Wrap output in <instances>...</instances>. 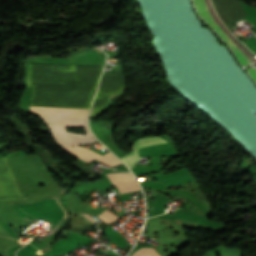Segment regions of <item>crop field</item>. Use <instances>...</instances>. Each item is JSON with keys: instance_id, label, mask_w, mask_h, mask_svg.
Here are the masks:
<instances>
[{"instance_id": "ac0d7876", "label": "crop field", "mask_w": 256, "mask_h": 256, "mask_svg": "<svg viewBox=\"0 0 256 256\" xmlns=\"http://www.w3.org/2000/svg\"><path fill=\"white\" fill-rule=\"evenodd\" d=\"M247 69V68H246ZM256 70V69H255ZM254 69L250 68L247 69L248 73L252 76V78L255 80L256 82V71Z\"/></svg>"}, {"instance_id": "8a807250", "label": "crop field", "mask_w": 256, "mask_h": 256, "mask_svg": "<svg viewBox=\"0 0 256 256\" xmlns=\"http://www.w3.org/2000/svg\"><path fill=\"white\" fill-rule=\"evenodd\" d=\"M193 3L196 7V10L200 17L207 23L209 24L221 37L224 41H226L232 51L235 53L238 61L242 64L245 65L249 63L250 61L241 53V51L230 41V39L224 34V32L216 25L215 21L210 17L204 0H193ZM247 66V65H246Z\"/></svg>"}]
</instances>
